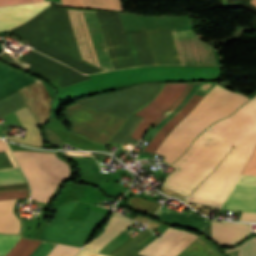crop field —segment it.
Here are the masks:
<instances>
[{
    "instance_id": "1",
    "label": "crop field",
    "mask_w": 256,
    "mask_h": 256,
    "mask_svg": "<svg viewBox=\"0 0 256 256\" xmlns=\"http://www.w3.org/2000/svg\"><path fill=\"white\" fill-rule=\"evenodd\" d=\"M211 127L256 146V95L223 120ZM207 128L170 166L175 169L161 184L188 195L229 154L185 201L221 209L238 174L246 164L254 146Z\"/></svg>"
},
{
    "instance_id": "2",
    "label": "crop field",
    "mask_w": 256,
    "mask_h": 256,
    "mask_svg": "<svg viewBox=\"0 0 256 256\" xmlns=\"http://www.w3.org/2000/svg\"><path fill=\"white\" fill-rule=\"evenodd\" d=\"M85 61L103 69H117L95 13L63 8ZM62 8L48 7L10 30L27 39L32 49L84 74L102 71L83 61Z\"/></svg>"
},
{
    "instance_id": "3",
    "label": "crop field",
    "mask_w": 256,
    "mask_h": 256,
    "mask_svg": "<svg viewBox=\"0 0 256 256\" xmlns=\"http://www.w3.org/2000/svg\"><path fill=\"white\" fill-rule=\"evenodd\" d=\"M247 100L241 94L216 85L161 143L156 151V154L165 157L161 162H174L206 127L228 116Z\"/></svg>"
},
{
    "instance_id": "4",
    "label": "crop field",
    "mask_w": 256,
    "mask_h": 256,
    "mask_svg": "<svg viewBox=\"0 0 256 256\" xmlns=\"http://www.w3.org/2000/svg\"><path fill=\"white\" fill-rule=\"evenodd\" d=\"M118 13L122 30L193 29L187 17H142ZM182 65H221L220 53L202 42L194 30H171Z\"/></svg>"
},
{
    "instance_id": "5",
    "label": "crop field",
    "mask_w": 256,
    "mask_h": 256,
    "mask_svg": "<svg viewBox=\"0 0 256 256\" xmlns=\"http://www.w3.org/2000/svg\"><path fill=\"white\" fill-rule=\"evenodd\" d=\"M13 155L30 183L34 201L46 203L59 182L71 173L69 166L55 154L13 152Z\"/></svg>"
},
{
    "instance_id": "6",
    "label": "crop field",
    "mask_w": 256,
    "mask_h": 256,
    "mask_svg": "<svg viewBox=\"0 0 256 256\" xmlns=\"http://www.w3.org/2000/svg\"><path fill=\"white\" fill-rule=\"evenodd\" d=\"M62 113L71 123L72 132L103 145L113 138L125 122V119L77 101Z\"/></svg>"
},
{
    "instance_id": "7",
    "label": "crop field",
    "mask_w": 256,
    "mask_h": 256,
    "mask_svg": "<svg viewBox=\"0 0 256 256\" xmlns=\"http://www.w3.org/2000/svg\"><path fill=\"white\" fill-rule=\"evenodd\" d=\"M76 204L73 201L60 206L38 239L81 247L106 215L91 211L84 221L65 220Z\"/></svg>"
},
{
    "instance_id": "8",
    "label": "crop field",
    "mask_w": 256,
    "mask_h": 256,
    "mask_svg": "<svg viewBox=\"0 0 256 256\" xmlns=\"http://www.w3.org/2000/svg\"><path fill=\"white\" fill-rule=\"evenodd\" d=\"M37 79L0 63V98ZM37 125H43L49 115L51 100L38 81L18 90Z\"/></svg>"
},
{
    "instance_id": "9",
    "label": "crop field",
    "mask_w": 256,
    "mask_h": 256,
    "mask_svg": "<svg viewBox=\"0 0 256 256\" xmlns=\"http://www.w3.org/2000/svg\"><path fill=\"white\" fill-rule=\"evenodd\" d=\"M164 84L141 83L120 91L78 101L127 119L134 111L150 102Z\"/></svg>"
},
{
    "instance_id": "10",
    "label": "crop field",
    "mask_w": 256,
    "mask_h": 256,
    "mask_svg": "<svg viewBox=\"0 0 256 256\" xmlns=\"http://www.w3.org/2000/svg\"><path fill=\"white\" fill-rule=\"evenodd\" d=\"M151 234L147 228L144 229L138 235L119 246L110 256H135L141 250L136 246ZM196 238L197 236L189 233L168 228L156 240L143 248L139 254L143 256H176Z\"/></svg>"
},
{
    "instance_id": "11",
    "label": "crop field",
    "mask_w": 256,
    "mask_h": 256,
    "mask_svg": "<svg viewBox=\"0 0 256 256\" xmlns=\"http://www.w3.org/2000/svg\"><path fill=\"white\" fill-rule=\"evenodd\" d=\"M22 182H25V181L21 176L17 166L0 169V186L22 183ZM21 187H27L26 183L0 187V191L21 188ZM27 195H28L27 188L9 190V191L0 192V200L22 198V197H27ZM14 202L15 200L0 201L1 217L19 219L12 212V207ZM7 218H0V232L1 233H19V230H20L19 220H13V219H7Z\"/></svg>"
},
{
    "instance_id": "12",
    "label": "crop field",
    "mask_w": 256,
    "mask_h": 256,
    "mask_svg": "<svg viewBox=\"0 0 256 256\" xmlns=\"http://www.w3.org/2000/svg\"><path fill=\"white\" fill-rule=\"evenodd\" d=\"M255 150L251 155L252 158L250 157L241 173L256 175ZM235 184L256 186V176L240 174ZM238 185L233 186V189L225 201L222 209L256 212V187Z\"/></svg>"
},
{
    "instance_id": "13",
    "label": "crop field",
    "mask_w": 256,
    "mask_h": 256,
    "mask_svg": "<svg viewBox=\"0 0 256 256\" xmlns=\"http://www.w3.org/2000/svg\"><path fill=\"white\" fill-rule=\"evenodd\" d=\"M16 58L31 64L28 69L50 79L64 88L89 79L38 52H26Z\"/></svg>"
},
{
    "instance_id": "14",
    "label": "crop field",
    "mask_w": 256,
    "mask_h": 256,
    "mask_svg": "<svg viewBox=\"0 0 256 256\" xmlns=\"http://www.w3.org/2000/svg\"><path fill=\"white\" fill-rule=\"evenodd\" d=\"M187 83H166L158 95L146 106L134 112L144 117L130 137L141 139L145 129L157 120L183 93ZM147 130V129H146Z\"/></svg>"
},
{
    "instance_id": "15",
    "label": "crop field",
    "mask_w": 256,
    "mask_h": 256,
    "mask_svg": "<svg viewBox=\"0 0 256 256\" xmlns=\"http://www.w3.org/2000/svg\"><path fill=\"white\" fill-rule=\"evenodd\" d=\"M118 69L133 67L116 12L94 10Z\"/></svg>"
},
{
    "instance_id": "16",
    "label": "crop field",
    "mask_w": 256,
    "mask_h": 256,
    "mask_svg": "<svg viewBox=\"0 0 256 256\" xmlns=\"http://www.w3.org/2000/svg\"><path fill=\"white\" fill-rule=\"evenodd\" d=\"M135 66L158 65L146 31H122Z\"/></svg>"
},
{
    "instance_id": "17",
    "label": "crop field",
    "mask_w": 256,
    "mask_h": 256,
    "mask_svg": "<svg viewBox=\"0 0 256 256\" xmlns=\"http://www.w3.org/2000/svg\"><path fill=\"white\" fill-rule=\"evenodd\" d=\"M51 4L52 3L50 1H47L32 4L0 7V16L39 12L50 6ZM35 14L37 13L0 17V31L9 30L27 21Z\"/></svg>"
},
{
    "instance_id": "18",
    "label": "crop field",
    "mask_w": 256,
    "mask_h": 256,
    "mask_svg": "<svg viewBox=\"0 0 256 256\" xmlns=\"http://www.w3.org/2000/svg\"><path fill=\"white\" fill-rule=\"evenodd\" d=\"M159 65H181L170 31H147Z\"/></svg>"
},
{
    "instance_id": "19",
    "label": "crop field",
    "mask_w": 256,
    "mask_h": 256,
    "mask_svg": "<svg viewBox=\"0 0 256 256\" xmlns=\"http://www.w3.org/2000/svg\"><path fill=\"white\" fill-rule=\"evenodd\" d=\"M133 223L134 221L113 212L105 227L84 248L98 252L111 239L122 233Z\"/></svg>"
},
{
    "instance_id": "20",
    "label": "crop field",
    "mask_w": 256,
    "mask_h": 256,
    "mask_svg": "<svg viewBox=\"0 0 256 256\" xmlns=\"http://www.w3.org/2000/svg\"><path fill=\"white\" fill-rule=\"evenodd\" d=\"M250 224L226 223L211 220L212 239L222 246L238 242L249 235Z\"/></svg>"
},
{
    "instance_id": "21",
    "label": "crop field",
    "mask_w": 256,
    "mask_h": 256,
    "mask_svg": "<svg viewBox=\"0 0 256 256\" xmlns=\"http://www.w3.org/2000/svg\"><path fill=\"white\" fill-rule=\"evenodd\" d=\"M154 217L201 233L209 224V220L207 218L192 210L186 214H179L172 210L160 209Z\"/></svg>"
},
{
    "instance_id": "22",
    "label": "crop field",
    "mask_w": 256,
    "mask_h": 256,
    "mask_svg": "<svg viewBox=\"0 0 256 256\" xmlns=\"http://www.w3.org/2000/svg\"><path fill=\"white\" fill-rule=\"evenodd\" d=\"M15 114H16L21 126L26 128L28 130V132H27L25 138L6 137L5 139L12 141V142L35 147V148H42L41 146H42L43 139L41 137V133H40L38 127L36 126L32 116L30 115L27 107L15 112Z\"/></svg>"
},
{
    "instance_id": "23",
    "label": "crop field",
    "mask_w": 256,
    "mask_h": 256,
    "mask_svg": "<svg viewBox=\"0 0 256 256\" xmlns=\"http://www.w3.org/2000/svg\"><path fill=\"white\" fill-rule=\"evenodd\" d=\"M202 96L194 94V96L183 106V108L175 114L155 135L152 141L144 148L145 151L154 153L164 138L170 131L194 108V106L202 99Z\"/></svg>"
},
{
    "instance_id": "24",
    "label": "crop field",
    "mask_w": 256,
    "mask_h": 256,
    "mask_svg": "<svg viewBox=\"0 0 256 256\" xmlns=\"http://www.w3.org/2000/svg\"><path fill=\"white\" fill-rule=\"evenodd\" d=\"M20 237V235L0 233V256H4ZM40 243V241L21 238L7 256H29Z\"/></svg>"
},
{
    "instance_id": "25",
    "label": "crop field",
    "mask_w": 256,
    "mask_h": 256,
    "mask_svg": "<svg viewBox=\"0 0 256 256\" xmlns=\"http://www.w3.org/2000/svg\"><path fill=\"white\" fill-rule=\"evenodd\" d=\"M141 119L142 117L133 114L128 122L123 126L122 130H120L110 142L122 144L124 141H126L132 145H135L138 141L128 136L135 129L136 125Z\"/></svg>"
},
{
    "instance_id": "26",
    "label": "crop field",
    "mask_w": 256,
    "mask_h": 256,
    "mask_svg": "<svg viewBox=\"0 0 256 256\" xmlns=\"http://www.w3.org/2000/svg\"><path fill=\"white\" fill-rule=\"evenodd\" d=\"M25 107L18 91L0 99V118Z\"/></svg>"
},
{
    "instance_id": "27",
    "label": "crop field",
    "mask_w": 256,
    "mask_h": 256,
    "mask_svg": "<svg viewBox=\"0 0 256 256\" xmlns=\"http://www.w3.org/2000/svg\"><path fill=\"white\" fill-rule=\"evenodd\" d=\"M177 256H218L208 245L196 239Z\"/></svg>"
},
{
    "instance_id": "28",
    "label": "crop field",
    "mask_w": 256,
    "mask_h": 256,
    "mask_svg": "<svg viewBox=\"0 0 256 256\" xmlns=\"http://www.w3.org/2000/svg\"><path fill=\"white\" fill-rule=\"evenodd\" d=\"M127 200H128V204L131 208H133L136 211H142L151 216H153L154 213L161 206L160 204H158L156 202H150V201L140 199L137 197L128 198Z\"/></svg>"
},
{
    "instance_id": "29",
    "label": "crop field",
    "mask_w": 256,
    "mask_h": 256,
    "mask_svg": "<svg viewBox=\"0 0 256 256\" xmlns=\"http://www.w3.org/2000/svg\"><path fill=\"white\" fill-rule=\"evenodd\" d=\"M53 86H55V88L58 90V93L56 94V96L52 102V113L50 115L49 121H51L53 118L56 117V110H57L58 105L61 102L68 100V99L75 98V97H79V96L65 90L64 88L60 87L57 84H55Z\"/></svg>"
},
{
    "instance_id": "30",
    "label": "crop field",
    "mask_w": 256,
    "mask_h": 256,
    "mask_svg": "<svg viewBox=\"0 0 256 256\" xmlns=\"http://www.w3.org/2000/svg\"><path fill=\"white\" fill-rule=\"evenodd\" d=\"M85 7L122 11L118 0H82Z\"/></svg>"
},
{
    "instance_id": "31",
    "label": "crop field",
    "mask_w": 256,
    "mask_h": 256,
    "mask_svg": "<svg viewBox=\"0 0 256 256\" xmlns=\"http://www.w3.org/2000/svg\"><path fill=\"white\" fill-rule=\"evenodd\" d=\"M238 249H240L238 256H256V239L253 238L251 240H248L243 245L238 246L234 249L225 250V253Z\"/></svg>"
},
{
    "instance_id": "32",
    "label": "crop field",
    "mask_w": 256,
    "mask_h": 256,
    "mask_svg": "<svg viewBox=\"0 0 256 256\" xmlns=\"http://www.w3.org/2000/svg\"><path fill=\"white\" fill-rule=\"evenodd\" d=\"M80 248L56 244L47 256H74Z\"/></svg>"
},
{
    "instance_id": "33",
    "label": "crop field",
    "mask_w": 256,
    "mask_h": 256,
    "mask_svg": "<svg viewBox=\"0 0 256 256\" xmlns=\"http://www.w3.org/2000/svg\"><path fill=\"white\" fill-rule=\"evenodd\" d=\"M54 245L53 243L42 242L30 256H46Z\"/></svg>"
},
{
    "instance_id": "34",
    "label": "crop field",
    "mask_w": 256,
    "mask_h": 256,
    "mask_svg": "<svg viewBox=\"0 0 256 256\" xmlns=\"http://www.w3.org/2000/svg\"><path fill=\"white\" fill-rule=\"evenodd\" d=\"M45 135L47 137V140H49L51 143H53L57 146L63 144L60 137L46 127H45Z\"/></svg>"
},
{
    "instance_id": "35",
    "label": "crop field",
    "mask_w": 256,
    "mask_h": 256,
    "mask_svg": "<svg viewBox=\"0 0 256 256\" xmlns=\"http://www.w3.org/2000/svg\"><path fill=\"white\" fill-rule=\"evenodd\" d=\"M54 4L58 5H67V6H75V7H84L81 0H52Z\"/></svg>"
},
{
    "instance_id": "36",
    "label": "crop field",
    "mask_w": 256,
    "mask_h": 256,
    "mask_svg": "<svg viewBox=\"0 0 256 256\" xmlns=\"http://www.w3.org/2000/svg\"><path fill=\"white\" fill-rule=\"evenodd\" d=\"M193 83H188V87L187 89L185 90V92L181 95V97L156 121L154 122L152 125H156L160 120H162L168 113L169 111L175 106L177 105L181 100L182 98L187 94L188 90L190 89V87L192 86Z\"/></svg>"
},
{
    "instance_id": "37",
    "label": "crop field",
    "mask_w": 256,
    "mask_h": 256,
    "mask_svg": "<svg viewBox=\"0 0 256 256\" xmlns=\"http://www.w3.org/2000/svg\"><path fill=\"white\" fill-rule=\"evenodd\" d=\"M240 221L256 222V213L242 212Z\"/></svg>"
},
{
    "instance_id": "38",
    "label": "crop field",
    "mask_w": 256,
    "mask_h": 256,
    "mask_svg": "<svg viewBox=\"0 0 256 256\" xmlns=\"http://www.w3.org/2000/svg\"><path fill=\"white\" fill-rule=\"evenodd\" d=\"M76 256H105V255L96 254V253H92L84 249H81Z\"/></svg>"
},
{
    "instance_id": "39",
    "label": "crop field",
    "mask_w": 256,
    "mask_h": 256,
    "mask_svg": "<svg viewBox=\"0 0 256 256\" xmlns=\"http://www.w3.org/2000/svg\"><path fill=\"white\" fill-rule=\"evenodd\" d=\"M40 80V79H39ZM40 82L42 83L43 87L45 88V90L47 91L48 95L50 96V98L52 97L53 93L55 92L54 89H52L47 83H45L44 81L40 80Z\"/></svg>"
},
{
    "instance_id": "40",
    "label": "crop field",
    "mask_w": 256,
    "mask_h": 256,
    "mask_svg": "<svg viewBox=\"0 0 256 256\" xmlns=\"http://www.w3.org/2000/svg\"><path fill=\"white\" fill-rule=\"evenodd\" d=\"M202 235H204V236L208 237L209 239H211V238H210V225H209V227L202 233Z\"/></svg>"
},
{
    "instance_id": "41",
    "label": "crop field",
    "mask_w": 256,
    "mask_h": 256,
    "mask_svg": "<svg viewBox=\"0 0 256 256\" xmlns=\"http://www.w3.org/2000/svg\"><path fill=\"white\" fill-rule=\"evenodd\" d=\"M251 3H253V4H255L256 5V0H252V2Z\"/></svg>"
},
{
    "instance_id": "42",
    "label": "crop field",
    "mask_w": 256,
    "mask_h": 256,
    "mask_svg": "<svg viewBox=\"0 0 256 256\" xmlns=\"http://www.w3.org/2000/svg\"><path fill=\"white\" fill-rule=\"evenodd\" d=\"M3 50V48L1 47V45H0V52Z\"/></svg>"
}]
</instances>
